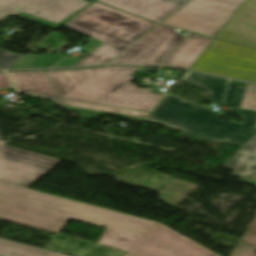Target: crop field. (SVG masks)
Listing matches in <instances>:
<instances>
[{
  "label": "crop field",
  "mask_w": 256,
  "mask_h": 256,
  "mask_svg": "<svg viewBox=\"0 0 256 256\" xmlns=\"http://www.w3.org/2000/svg\"><path fill=\"white\" fill-rule=\"evenodd\" d=\"M84 51L91 52L87 58L82 60L70 57L60 62L55 67H73L106 63L111 60L114 56L120 53L123 49L99 42L97 40L88 42L84 48ZM70 59V60H68Z\"/></svg>",
  "instance_id": "18"
},
{
  "label": "crop field",
  "mask_w": 256,
  "mask_h": 256,
  "mask_svg": "<svg viewBox=\"0 0 256 256\" xmlns=\"http://www.w3.org/2000/svg\"><path fill=\"white\" fill-rule=\"evenodd\" d=\"M0 256H68L31 245L0 238Z\"/></svg>",
  "instance_id": "21"
},
{
  "label": "crop field",
  "mask_w": 256,
  "mask_h": 256,
  "mask_svg": "<svg viewBox=\"0 0 256 256\" xmlns=\"http://www.w3.org/2000/svg\"><path fill=\"white\" fill-rule=\"evenodd\" d=\"M190 69L256 82V63L212 53L206 50L203 51Z\"/></svg>",
  "instance_id": "10"
},
{
  "label": "crop field",
  "mask_w": 256,
  "mask_h": 256,
  "mask_svg": "<svg viewBox=\"0 0 256 256\" xmlns=\"http://www.w3.org/2000/svg\"><path fill=\"white\" fill-rule=\"evenodd\" d=\"M8 73L18 90L60 99L45 71Z\"/></svg>",
  "instance_id": "14"
},
{
  "label": "crop field",
  "mask_w": 256,
  "mask_h": 256,
  "mask_svg": "<svg viewBox=\"0 0 256 256\" xmlns=\"http://www.w3.org/2000/svg\"><path fill=\"white\" fill-rule=\"evenodd\" d=\"M240 108L256 110V86H248Z\"/></svg>",
  "instance_id": "24"
},
{
  "label": "crop field",
  "mask_w": 256,
  "mask_h": 256,
  "mask_svg": "<svg viewBox=\"0 0 256 256\" xmlns=\"http://www.w3.org/2000/svg\"><path fill=\"white\" fill-rule=\"evenodd\" d=\"M1 73V72H0Z\"/></svg>",
  "instance_id": "32"
},
{
  "label": "crop field",
  "mask_w": 256,
  "mask_h": 256,
  "mask_svg": "<svg viewBox=\"0 0 256 256\" xmlns=\"http://www.w3.org/2000/svg\"><path fill=\"white\" fill-rule=\"evenodd\" d=\"M245 0H192L162 24L214 37Z\"/></svg>",
  "instance_id": "5"
},
{
  "label": "crop field",
  "mask_w": 256,
  "mask_h": 256,
  "mask_svg": "<svg viewBox=\"0 0 256 256\" xmlns=\"http://www.w3.org/2000/svg\"><path fill=\"white\" fill-rule=\"evenodd\" d=\"M0 141H1V138H0ZM2 142V141H1Z\"/></svg>",
  "instance_id": "31"
},
{
  "label": "crop field",
  "mask_w": 256,
  "mask_h": 256,
  "mask_svg": "<svg viewBox=\"0 0 256 256\" xmlns=\"http://www.w3.org/2000/svg\"><path fill=\"white\" fill-rule=\"evenodd\" d=\"M88 1L93 2L94 0H88Z\"/></svg>",
  "instance_id": "30"
},
{
  "label": "crop field",
  "mask_w": 256,
  "mask_h": 256,
  "mask_svg": "<svg viewBox=\"0 0 256 256\" xmlns=\"http://www.w3.org/2000/svg\"><path fill=\"white\" fill-rule=\"evenodd\" d=\"M0 200L144 237L157 222L0 182Z\"/></svg>",
  "instance_id": "2"
},
{
  "label": "crop field",
  "mask_w": 256,
  "mask_h": 256,
  "mask_svg": "<svg viewBox=\"0 0 256 256\" xmlns=\"http://www.w3.org/2000/svg\"><path fill=\"white\" fill-rule=\"evenodd\" d=\"M139 70L155 71L156 69H142V68H140Z\"/></svg>",
  "instance_id": "29"
},
{
  "label": "crop field",
  "mask_w": 256,
  "mask_h": 256,
  "mask_svg": "<svg viewBox=\"0 0 256 256\" xmlns=\"http://www.w3.org/2000/svg\"><path fill=\"white\" fill-rule=\"evenodd\" d=\"M102 3L149 19L161 22L180 6L165 2L163 0H98Z\"/></svg>",
  "instance_id": "13"
},
{
  "label": "crop field",
  "mask_w": 256,
  "mask_h": 256,
  "mask_svg": "<svg viewBox=\"0 0 256 256\" xmlns=\"http://www.w3.org/2000/svg\"><path fill=\"white\" fill-rule=\"evenodd\" d=\"M125 256H219L180 235L159 225L147 234Z\"/></svg>",
  "instance_id": "9"
},
{
  "label": "crop field",
  "mask_w": 256,
  "mask_h": 256,
  "mask_svg": "<svg viewBox=\"0 0 256 256\" xmlns=\"http://www.w3.org/2000/svg\"><path fill=\"white\" fill-rule=\"evenodd\" d=\"M248 85L229 82L223 106L233 107L242 123L219 120L221 114L168 93L144 122L242 147L256 135V111L239 109Z\"/></svg>",
  "instance_id": "1"
},
{
  "label": "crop field",
  "mask_w": 256,
  "mask_h": 256,
  "mask_svg": "<svg viewBox=\"0 0 256 256\" xmlns=\"http://www.w3.org/2000/svg\"><path fill=\"white\" fill-rule=\"evenodd\" d=\"M211 40L212 38H206L196 34L192 35V37L187 36L163 66L189 69Z\"/></svg>",
  "instance_id": "15"
},
{
  "label": "crop field",
  "mask_w": 256,
  "mask_h": 256,
  "mask_svg": "<svg viewBox=\"0 0 256 256\" xmlns=\"http://www.w3.org/2000/svg\"><path fill=\"white\" fill-rule=\"evenodd\" d=\"M112 233H117L118 235H112ZM141 239L142 237L110 230L107 228L97 243L129 251Z\"/></svg>",
  "instance_id": "23"
},
{
  "label": "crop field",
  "mask_w": 256,
  "mask_h": 256,
  "mask_svg": "<svg viewBox=\"0 0 256 256\" xmlns=\"http://www.w3.org/2000/svg\"><path fill=\"white\" fill-rule=\"evenodd\" d=\"M206 50L256 62V49L213 39Z\"/></svg>",
  "instance_id": "22"
},
{
  "label": "crop field",
  "mask_w": 256,
  "mask_h": 256,
  "mask_svg": "<svg viewBox=\"0 0 256 256\" xmlns=\"http://www.w3.org/2000/svg\"><path fill=\"white\" fill-rule=\"evenodd\" d=\"M1 87L5 88V89L11 87L3 72L0 74V88Z\"/></svg>",
  "instance_id": "26"
},
{
  "label": "crop field",
  "mask_w": 256,
  "mask_h": 256,
  "mask_svg": "<svg viewBox=\"0 0 256 256\" xmlns=\"http://www.w3.org/2000/svg\"><path fill=\"white\" fill-rule=\"evenodd\" d=\"M0 219L59 234L69 218L0 201Z\"/></svg>",
  "instance_id": "12"
},
{
  "label": "crop field",
  "mask_w": 256,
  "mask_h": 256,
  "mask_svg": "<svg viewBox=\"0 0 256 256\" xmlns=\"http://www.w3.org/2000/svg\"><path fill=\"white\" fill-rule=\"evenodd\" d=\"M222 166L235 170V177L256 181V136Z\"/></svg>",
  "instance_id": "16"
},
{
  "label": "crop field",
  "mask_w": 256,
  "mask_h": 256,
  "mask_svg": "<svg viewBox=\"0 0 256 256\" xmlns=\"http://www.w3.org/2000/svg\"><path fill=\"white\" fill-rule=\"evenodd\" d=\"M214 38L256 48V0H246Z\"/></svg>",
  "instance_id": "11"
},
{
  "label": "crop field",
  "mask_w": 256,
  "mask_h": 256,
  "mask_svg": "<svg viewBox=\"0 0 256 256\" xmlns=\"http://www.w3.org/2000/svg\"><path fill=\"white\" fill-rule=\"evenodd\" d=\"M7 50L0 49V69H7L17 60H19L23 55L13 52L10 55H5Z\"/></svg>",
  "instance_id": "25"
},
{
  "label": "crop field",
  "mask_w": 256,
  "mask_h": 256,
  "mask_svg": "<svg viewBox=\"0 0 256 256\" xmlns=\"http://www.w3.org/2000/svg\"><path fill=\"white\" fill-rule=\"evenodd\" d=\"M155 25L98 2L91 4L64 24L75 31L123 49Z\"/></svg>",
  "instance_id": "4"
},
{
  "label": "crop field",
  "mask_w": 256,
  "mask_h": 256,
  "mask_svg": "<svg viewBox=\"0 0 256 256\" xmlns=\"http://www.w3.org/2000/svg\"><path fill=\"white\" fill-rule=\"evenodd\" d=\"M60 160L2 145L0 147V181L31 186Z\"/></svg>",
  "instance_id": "8"
},
{
  "label": "crop field",
  "mask_w": 256,
  "mask_h": 256,
  "mask_svg": "<svg viewBox=\"0 0 256 256\" xmlns=\"http://www.w3.org/2000/svg\"><path fill=\"white\" fill-rule=\"evenodd\" d=\"M100 68L87 70L46 71L60 98L91 76Z\"/></svg>",
  "instance_id": "19"
},
{
  "label": "crop field",
  "mask_w": 256,
  "mask_h": 256,
  "mask_svg": "<svg viewBox=\"0 0 256 256\" xmlns=\"http://www.w3.org/2000/svg\"><path fill=\"white\" fill-rule=\"evenodd\" d=\"M181 80L210 93L208 101L220 105L227 80L186 72Z\"/></svg>",
  "instance_id": "20"
},
{
  "label": "crop field",
  "mask_w": 256,
  "mask_h": 256,
  "mask_svg": "<svg viewBox=\"0 0 256 256\" xmlns=\"http://www.w3.org/2000/svg\"><path fill=\"white\" fill-rule=\"evenodd\" d=\"M88 5L84 0H0L1 11L55 29Z\"/></svg>",
  "instance_id": "6"
},
{
  "label": "crop field",
  "mask_w": 256,
  "mask_h": 256,
  "mask_svg": "<svg viewBox=\"0 0 256 256\" xmlns=\"http://www.w3.org/2000/svg\"><path fill=\"white\" fill-rule=\"evenodd\" d=\"M138 69L102 67L63 98L152 112L164 96L128 85Z\"/></svg>",
  "instance_id": "3"
},
{
  "label": "crop field",
  "mask_w": 256,
  "mask_h": 256,
  "mask_svg": "<svg viewBox=\"0 0 256 256\" xmlns=\"http://www.w3.org/2000/svg\"><path fill=\"white\" fill-rule=\"evenodd\" d=\"M168 2L183 6L184 4H186L189 0H166Z\"/></svg>",
  "instance_id": "27"
},
{
  "label": "crop field",
  "mask_w": 256,
  "mask_h": 256,
  "mask_svg": "<svg viewBox=\"0 0 256 256\" xmlns=\"http://www.w3.org/2000/svg\"><path fill=\"white\" fill-rule=\"evenodd\" d=\"M159 25L110 63L161 66L186 36Z\"/></svg>",
  "instance_id": "7"
},
{
  "label": "crop field",
  "mask_w": 256,
  "mask_h": 256,
  "mask_svg": "<svg viewBox=\"0 0 256 256\" xmlns=\"http://www.w3.org/2000/svg\"><path fill=\"white\" fill-rule=\"evenodd\" d=\"M10 14L4 13L0 11V21L4 18H6L7 16H9Z\"/></svg>",
  "instance_id": "28"
},
{
  "label": "crop field",
  "mask_w": 256,
  "mask_h": 256,
  "mask_svg": "<svg viewBox=\"0 0 256 256\" xmlns=\"http://www.w3.org/2000/svg\"><path fill=\"white\" fill-rule=\"evenodd\" d=\"M58 102L62 103L66 107L70 108L71 110L77 112L80 118H83V119H93V117L96 115L110 113V114L122 115L123 117L143 122L149 114L148 112L88 104V103L75 102V101H67L63 99H60Z\"/></svg>",
  "instance_id": "17"
}]
</instances>
